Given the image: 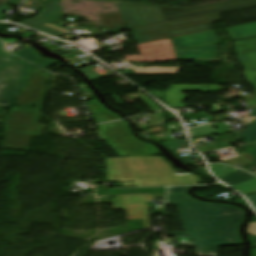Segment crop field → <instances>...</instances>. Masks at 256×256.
I'll return each mask as SVG.
<instances>
[{
    "instance_id": "crop-field-31",
    "label": "crop field",
    "mask_w": 256,
    "mask_h": 256,
    "mask_svg": "<svg viewBox=\"0 0 256 256\" xmlns=\"http://www.w3.org/2000/svg\"><path fill=\"white\" fill-rule=\"evenodd\" d=\"M234 166H236V167H240V168H243V167H245V166H243V165H241V164H239V163H237L236 165H234ZM246 168V167H245Z\"/></svg>"
},
{
    "instance_id": "crop-field-28",
    "label": "crop field",
    "mask_w": 256,
    "mask_h": 256,
    "mask_svg": "<svg viewBox=\"0 0 256 256\" xmlns=\"http://www.w3.org/2000/svg\"><path fill=\"white\" fill-rule=\"evenodd\" d=\"M167 118H168V120H171V119H174L175 116L171 113H167Z\"/></svg>"
},
{
    "instance_id": "crop-field-9",
    "label": "crop field",
    "mask_w": 256,
    "mask_h": 256,
    "mask_svg": "<svg viewBox=\"0 0 256 256\" xmlns=\"http://www.w3.org/2000/svg\"><path fill=\"white\" fill-rule=\"evenodd\" d=\"M200 179L190 180H168V181H146L136 183H122L123 187H135V186H159V185H183V184H197Z\"/></svg>"
},
{
    "instance_id": "crop-field-4",
    "label": "crop field",
    "mask_w": 256,
    "mask_h": 256,
    "mask_svg": "<svg viewBox=\"0 0 256 256\" xmlns=\"http://www.w3.org/2000/svg\"><path fill=\"white\" fill-rule=\"evenodd\" d=\"M32 67L27 62L13 61L0 50V107L11 106L17 91L26 85Z\"/></svg>"
},
{
    "instance_id": "crop-field-29",
    "label": "crop field",
    "mask_w": 256,
    "mask_h": 256,
    "mask_svg": "<svg viewBox=\"0 0 256 256\" xmlns=\"http://www.w3.org/2000/svg\"><path fill=\"white\" fill-rule=\"evenodd\" d=\"M200 171H201L202 173H204L205 175H207L208 177H210L209 174L206 172V170H205L204 168H200Z\"/></svg>"
},
{
    "instance_id": "crop-field-22",
    "label": "crop field",
    "mask_w": 256,
    "mask_h": 256,
    "mask_svg": "<svg viewBox=\"0 0 256 256\" xmlns=\"http://www.w3.org/2000/svg\"><path fill=\"white\" fill-rule=\"evenodd\" d=\"M189 187H172L169 189V194H173V193H186V190Z\"/></svg>"
},
{
    "instance_id": "crop-field-16",
    "label": "crop field",
    "mask_w": 256,
    "mask_h": 256,
    "mask_svg": "<svg viewBox=\"0 0 256 256\" xmlns=\"http://www.w3.org/2000/svg\"><path fill=\"white\" fill-rule=\"evenodd\" d=\"M240 135L249 143L256 142V123L249 126V128L244 132L240 133Z\"/></svg>"
},
{
    "instance_id": "crop-field-25",
    "label": "crop field",
    "mask_w": 256,
    "mask_h": 256,
    "mask_svg": "<svg viewBox=\"0 0 256 256\" xmlns=\"http://www.w3.org/2000/svg\"><path fill=\"white\" fill-rule=\"evenodd\" d=\"M249 199H250V201H251V203L255 206V208H256V194H254V195H250V196H247Z\"/></svg>"
},
{
    "instance_id": "crop-field-26",
    "label": "crop field",
    "mask_w": 256,
    "mask_h": 256,
    "mask_svg": "<svg viewBox=\"0 0 256 256\" xmlns=\"http://www.w3.org/2000/svg\"><path fill=\"white\" fill-rule=\"evenodd\" d=\"M246 169L252 171L253 173H256V164H254L253 166H250V167H248Z\"/></svg>"
},
{
    "instance_id": "crop-field-5",
    "label": "crop field",
    "mask_w": 256,
    "mask_h": 256,
    "mask_svg": "<svg viewBox=\"0 0 256 256\" xmlns=\"http://www.w3.org/2000/svg\"><path fill=\"white\" fill-rule=\"evenodd\" d=\"M177 58L178 59H202V58H215L216 45L218 43L213 31L190 35L185 37H179L171 39ZM215 44L210 46H205L201 48L191 49V50H177V49H187L191 47L203 46Z\"/></svg>"
},
{
    "instance_id": "crop-field-10",
    "label": "crop field",
    "mask_w": 256,
    "mask_h": 256,
    "mask_svg": "<svg viewBox=\"0 0 256 256\" xmlns=\"http://www.w3.org/2000/svg\"><path fill=\"white\" fill-rule=\"evenodd\" d=\"M232 40L255 36L256 35V23L231 27L227 29Z\"/></svg>"
},
{
    "instance_id": "crop-field-18",
    "label": "crop field",
    "mask_w": 256,
    "mask_h": 256,
    "mask_svg": "<svg viewBox=\"0 0 256 256\" xmlns=\"http://www.w3.org/2000/svg\"><path fill=\"white\" fill-rule=\"evenodd\" d=\"M152 115L154 116L156 123L143 125V126H141L142 129L164 125V113L163 112L154 113Z\"/></svg>"
},
{
    "instance_id": "crop-field-24",
    "label": "crop field",
    "mask_w": 256,
    "mask_h": 256,
    "mask_svg": "<svg viewBox=\"0 0 256 256\" xmlns=\"http://www.w3.org/2000/svg\"><path fill=\"white\" fill-rule=\"evenodd\" d=\"M187 165L194 163L190 156L180 158ZM193 165V164H192Z\"/></svg>"
},
{
    "instance_id": "crop-field-13",
    "label": "crop field",
    "mask_w": 256,
    "mask_h": 256,
    "mask_svg": "<svg viewBox=\"0 0 256 256\" xmlns=\"http://www.w3.org/2000/svg\"><path fill=\"white\" fill-rule=\"evenodd\" d=\"M16 54L19 55L18 57L25 59L31 63H34V62L44 59L39 55V53L36 50H34L32 48L24 50V51L16 53Z\"/></svg>"
},
{
    "instance_id": "crop-field-6",
    "label": "crop field",
    "mask_w": 256,
    "mask_h": 256,
    "mask_svg": "<svg viewBox=\"0 0 256 256\" xmlns=\"http://www.w3.org/2000/svg\"><path fill=\"white\" fill-rule=\"evenodd\" d=\"M152 196L113 197L114 210L126 212L127 220H144L146 228L151 227L148 210L145 203Z\"/></svg>"
},
{
    "instance_id": "crop-field-27",
    "label": "crop field",
    "mask_w": 256,
    "mask_h": 256,
    "mask_svg": "<svg viewBox=\"0 0 256 256\" xmlns=\"http://www.w3.org/2000/svg\"><path fill=\"white\" fill-rule=\"evenodd\" d=\"M253 109L252 113L250 114V117L256 116V106L251 107Z\"/></svg>"
},
{
    "instance_id": "crop-field-14",
    "label": "crop field",
    "mask_w": 256,
    "mask_h": 256,
    "mask_svg": "<svg viewBox=\"0 0 256 256\" xmlns=\"http://www.w3.org/2000/svg\"><path fill=\"white\" fill-rule=\"evenodd\" d=\"M210 166L212 168L213 173L218 178L237 171L236 169L226 167V166H223V165H210Z\"/></svg>"
},
{
    "instance_id": "crop-field-8",
    "label": "crop field",
    "mask_w": 256,
    "mask_h": 256,
    "mask_svg": "<svg viewBox=\"0 0 256 256\" xmlns=\"http://www.w3.org/2000/svg\"><path fill=\"white\" fill-rule=\"evenodd\" d=\"M138 49L144 57L128 55L124 56L125 60L156 61L177 59L170 39L140 44Z\"/></svg>"
},
{
    "instance_id": "crop-field-17",
    "label": "crop field",
    "mask_w": 256,
    "mask_h": 256,
    "mask_svg": "<svg viewBox=\"0 0 256 256\" xmlns=\"http://www.w3.org/2000/svg\"><path fill=\"white\" fill-rule=\"evenodd\" d=\"M182 143H185V144H182ZM161 144L164 145L167 149H169L173 153H175L174 149H176V148L188 146L185 139L176 140V141H169V142H163Z\"/></svg>"
},
{
    "instance_id": "crop-field-30",
    "label": "crop field",
    "mask_w": 256,
    "mask_h": 256,
    "mask_svg": "<svg viewBox=\"0 0 256 256\" xmlns=\"http://www.w3.org/2000/svg\"><path fill=\"white\" fill-rule=\"evenodd\" d=\"M251 256H256V248L251 249Z\"/></svg>"
},
{
    "instance_id": "crop-field-3",
    "label": "crop field",
    "mask_w": 256,
    "mask_h": 256,
    "mask_svg": "<svg viewBox=\"0 0 256 256\" xmlns=\"http://www.w3.org/2000/svg\"><path fill=\"white\" fill-rule=\"evenodd\" d=\"M40 119L41 110L13 107L5 123L3 149L29 151L31 136L42 137L47 128L38 123Z\"/></svg>"
},
{
    "instance_id": "crop-field-15",
    "label": "crop field",
    "mask_w": 256,
    "mask_h": 256,
    "mask_svg": "<svg viewBox=\"0 0 256 256\" xmlns=\"http://www.w3.org/2000/svg\"><path fill=\"white\" fill-rule=\"evenodd\" d=\"M234 189L242 194L256 191V179L248 181L242 185L236 186L234 187Z\"/></svg>"
},
{
    "instance_id": "crop-field-21",
    "label": "crop field",
    "mask_w": 256,
    "mask_h": 256,
    "mask_svg": "<svg viewBox=\"0 0 256 256\" xmlns=\"http://www.w3.org/2000/svg\"><path fill=\"white\" fill-rule=\"evenodd\" d=\"M242 150L254 155L256 157V144L247 145V146H240Z\"/></svg>"
},
{
    "instance_id": "crop-field-12",
    "label": "crop field",
    "mask_w": 256,
    "mask_h": 256,
    "mask_svg": "<svg viewBox=\"0 0 256 256\" xmlns=\"http://www.w3.org/2000/svg\"><path fill=\"white\" fill-rule=\"evenodd\" d=\"M191 137L215 135L213 124L188 129Z\"/></svg>"
},
{
    "instance_id": "crop-field-1",
    "label": "crop field",
    "mask_w": 256,
    "mask_h": 256,
    "mask_svg": "<svg viewBox=\"0 0 256 256\" xmlns=\"http://www.w3.org/2000/svg\"><path fill=\"white\" fill-rule=\"evenodd\" d=\"M168 205L178 209L185 232L166 236L180 238L181 245L195 247L199 256H217L219 246L242 245L238 228L245 214L238 207L200 202L188 194L168 195Z\"/></svg>"
},
{
    "instance_id": "crop-field-2",
    "label": "crop field",
    "mask_w": 256,
    "mask_h": 256,
    "mask_svg": "<svg viewBox=\"0 0 256 256\" xmlns=\"http://www.w3.org/2000/svg\"><path fill=\"white\" fill-rule=\"evenodd\" d=\"M107 180L116 182L190 179L192 174H175L174 169L162 157L106 159Z\"/></svg>"
},
{
    "instance_id": "crop-field-19",
    "label": "crop field",
    "mask_w": 256,
    "mask_h": 256,
    "mask_svg": "<svg viewBox=\"0 0 256 256\" xmlns=\"http://www.w3.org/2000/svg\"><path fill=\"white\" fill-rule=\"evenodd\" d=\"M59 62L58 60H53V59H46V60H43V61H40L38 63H35L36 65H38L39 67L45 69L55 63Z\"/></svg>"
},
{
    "instance_id": "crop-field-23",
    "label": "crop field",
    "mask_w": 256,
    "mask_h": 256,
    "mask_svg": "<svg viewBox=\"0 0 256 256\" xmlns=\"http://www.w3.org/2000/svg\"><path fill=\"white\" fill-rule=\"evenodd\" d=\"M248 234L252 236H256V222L255 223H250L247 227Z\"/></svg>"
},
{
    "instance_id": "crop-field-11",
    "label": "crop field",
    "mask_w": 256,
    "mask_h": 256,
    "mask_svg": "<svg viewBox=\"0 0 256 256\" xmlns=\"http://www.w3.org/2000/svg\"><path fill=\"white\" fill-rule=\"evenodd\" d=\"M256 178L250 174L245 173L244 171H240L238 173H235L233 175H230L226 178L221 179L223 182L228 184L229 186L233 187L235 185L241 184L245 181H248L250 179Z\"/></svg>"
},
{
    "instance_id": "crop-field-7",
    "label": "crop field",
    "mask_w": 256,
    "mask_h": 256,
    "mask_svg": "<svg viewBox=\"0 0 256 256\" xmlns=\"http://www.w3.org/2000/svg\"><path fill=\"white\" fill-rule=\"evenodd\" d=\"M48 75V73L34 68L29 86L18 96L15 105L30 106L34 104L37 105L36 109H41Z\"/></svg>"
},
{
    "instance_id": "crop-field-20",
    "label": "crop field",
    "mask_w": 256,
    "mask_h": 256,
    "mask_svg": "<svg viewBox=\"0 0 256 256\" xmlns=\"http://www.w3.org/2000/svg\"><path fill=\"white\" fill-rule=\"evenodd\" d=\"M196 149L199 150L201 153H204V152L219 149V145H218V143H215V144H211V145H207V146H203V147H198Z\"/></svg>"
}]
</instances>
